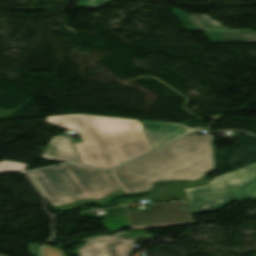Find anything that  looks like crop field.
Segmentation results:
<instances>
[{
	"label": "crop field",
	"instance_id": "8a807250",
	"mask_svg": "<svg viewBox=\"0 0 256 256\" xmlns=\"http://www.w3.org/2000/svg\"><path fill=\"white\" fill-rule=\"evenodd\" d=\"M45 123L79 134L83 142L73 144L83 165L111 169L152 151L140 121L78 114Z\"/></svg>",
	"mask_w": 256,
	"mask_h": 256
},
{
	"label": "crop field",
	"instance_id": "ac0d7876",
	"mask_svg": "<svg viewBox=\"0 0 256 256\" xmlns=\"http://www.w3.org/2000/svg\"><path fill=\"white\" fill-rule=\"evenodd\" d=\"M211 141L212 136L185 137L110 173L125 193L150 189L153 181L196 182L214 169Z\"/></svg>",
	"mask_w": 256,
	"mask_h": 256
},
{
	"label": "crop field",
	"instance_id": "34b2d1b8",
	"mask_svg": "<svg viewBox=\"0 0 256 256\" xmlns=\"http://www.w3.org/2000/svg\"><path fill=\"white\" fill-rule=\"evenodd\" d=\"M28 173L53 207L85 198L99 199L120 190L107 171L73 164Z\"/></svg>",
	"mask_w": 256,
	"mask_h": 256
},
{
	"label": "crop field",
	"instance_id": "412701ff",
	"mask_svg": "<svg viewBox=\"0 0 256 256\" xmlns=\"http://www.w3.org/2000/svg\"><path fill=\"white\" fill-rule=\"evenodd\" d=\"M184 191L193 214L218 211L232 201L256 199V164Z\"/></svg>",
	"mask_w": 256,
	"mask_h": 256
},
{
	"label": "crop field",
	"instance_id": "f4fd0767",
	"mask_svg": "<svg viewBox=\"0 0 256 256\" xmlns=\"http://www.w3.org/2000/svg\"><path fill=\"white\" fill-rule=\"evenodd\" d=\"M182 202L149 205V210L132 212L129 206H124L132 229L181 225L192 222L189 212L181 211Z\"/></svg>",
	"mask_w": 256,
	"mask_h": 256
},
{
	"label": "crop field",
	"instance_id": "dd49c442",
	"mask_svg": "<svg viewBox=\"0 0 256 256\" xmlns=\"http://www.w3.org/2000/svg\"><path fill=\"white\" fill-rule=\"evenodd\" d=\"M134 243L117 237L93 238L78 252L80 256H130Z\"/></svg>",
	"mask_w": 256,
	"mask_h": 256
},
{
	"label": "crop field",
	"instance_id": "e52e79f7",
	"mask_svg": "<svg viewBox=\"0 0 256 256\" xmlns=\"http://www.w3.org/2000/svg\"><path fill=\"white\" fill-rule=\"evenodd\" d=\"M141 123L154 150L185 135L192 134L202 129L199 126L194 129H189L183 125L177 124L148 121H142Z\"/></svg>",
	"mask_w": 256,
	"mask_h": 256
},
{
	"label": "crop field",
	"instance_id": "d8731c3e",
	"mask_svg": "<svg viewBox=\"0 0 256 256\" xmlns=\"http://www.w3.org/2000/svg\"><path fill=\"white\" fill-rule=\"evenodd\" d=\"M42 158L79 163L67 136H53Z\"/></svg>",
	"mask_w": 256,
	"mask_h": 256
},
{
	"label": "crop field",
	"instance_id": "5a996713",
	"mask_svg": "<svg viewBox=\"0 0 256 256\" xmlns=\"http://www.w3.org/2000/svg\"><path fill=\"white\" fill-rule=\"evenodd\" d=\"M213 43L256 42V33L248 31H205Z\"/></svg>",
	"mask_w": 256,
	"mask_h": 256
},
{
	"label": "crop field",
	"instance_id": "3316defc",
	"mask_svg": "<svg viewBox=\"0 0 256 256\" xmlns=\"http://www.w3.org/2000/svg\"><path fill=\"white\" fill-rule=\"evenodd\" d=\"M186 198L182 184H170L163 195L152 198L155 201Z\"/></svg>",
	"mask_w": 256,
	"mask_h": 256
},
{
	"label": "crop field",
	"instance_id": "28ad6ade",
	"mask_svg": "<svg viewBox=\"0 0 256 256\" xmlns=\"http://www.w3.org/2000/svg\"><path fill=\"white\" fill-rule=\"evenodd\" d=\"M122 195H123L122 191H119V192L112 193L102 199H99V200H93V199L80 200V201L70 203V204H67L64 206L56 207L55 209L63 210V209L72 208V207H76V206L87 204V203L103 204V203L109 202L113 199H116Z\"/></svg>",
	"mask_w": 256,
	"mask_h": 256
},
{
	"label": "crop field",
	"instance_id": "d1516ede",
	"mask_svg": "<svg viewBox=\"0 0 256 256\" xmlns=\"http://www.w3.org/2000/svg\"><path fill=\"white\" fill-rule=\"evenodd\" d=\"M200 29H228L207 15L190 16Z\"/></svg>",
	"mask_w": 256,
	"mask_h": 256
},
{
	"label": "crop field",
	"instance_id": "22f410ed",
	"mask_svg": "<svg viewBox=\"0 0 256 256\" xmlns=\"http://www.w3.org/2000/svg\"><path fill=\"white\" fill-rule=\"evenodd\" d=\"M26 164L15 163L13 161L0 162V172H6L11 170H25Z\"/></svg>",
	"mask_w": 256,
	"mask_h": 256
},
{
	"label": "crop field",
	"instance_id": "cbeb9de0",
	"mask_svg": "<svg viewBox=\"0 0 256 256\" xmlns=\"http://www.w3.org/2000/svg\"><path fill=\"white\" fill-rule=\"evenodd\" d=\"M112 0H79L77 8L94 9Z\"/></svg>",
	"mask_w": 256,
	"mask_h": 256
},
{
	"label": "crop field",
	"instance_id": "5142ce71",
	"mask_svg": "<svg viewBox=\"0 0 256 256\" xmlns=\"http://www.w3.org/2000/svg\"><path fill=\"white\" fill-rule=\"evenodd\" d=\"M174 12L177 14V16L187 25V27L189 28V30H198L197 27L193 24V22L190 20V18L187 16L186 13L177 10V9H173ZM200 30V29H199Z\"/></svg>",
	"mask_w": 256,
	"mask_h": 256
},
{
	"label": "crop field",
	"instance_id": "d9b57169",
	"mask_svg": "<svg viewBox=\"0 0 256 256\" xmlns=\"http://www.w3.org/2000/svg\"><path fill=\"white\" fill-rule=\"evenodd\" d=\"M43 256H66L65 251L58 248H51L47 245L43 247Z\"/></svg>",
	"mask_w": 256,
	"mask_h": 256
},
{
	"label": "crop field",
	"instance_id": "733c2abd",
	"mask_svg": "<svg viewBox=\"0 0 256 256\" xmlns=\"http://www.w3.org/2000/svg\"><path fill=\"white\" fill-rule=\"evenodd\" d=\"M29 250L31 256H40L39 244H29Z\"/></svg>",
	"mask_w": 256,
	"mask_h": 256
},
{
	"label": "crop field",
	"instance_id": "4a817a6b",
	"mask_svg": "<svg viewBox=\"0 0 256 256\" xmlns=\"http://www.w3.org/2000/svg\"><path fill=\"white\" fill-rule=\"evenodd\" d=\"M211 180H203L200 183H183L184 188L186 187H196V186H200V185H204L208 182H210Z\"/></svg>",
	"mask_w": 256,
	"mask_h": 256
},
{
	"label": "crop field",
	"instance_id": "bc2a9ffb",
	"mask_svg": "<svg viewBox=\"0 0 256 256\" xmlns=\"http://www.w3.org/2000/svg\"><path fill=\"white\" fill-rule=\"evenodd\" d=\"M0 256H3V255H0Z\"/></svg>",
	"mask_w": 256,
	"mask_h": 256
}]
</instances>
